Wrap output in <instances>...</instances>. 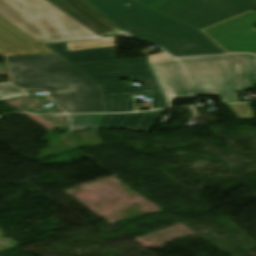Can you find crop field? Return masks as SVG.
Segmentation results:
<instances>
[{
  "label": "crop field",
  "mask_w": 256,
  "mask_h": 256,
  "mask_svg": "<svg viewBox=\"0 0 256 256\" xmlns=\"http://www.w3.org/2000/svg\"><path fill=\"white\" fill-rule=\"evenodd\" d=\"M37 46H39L46 54L54 53L53 51H51L49 48H47L44 45H37Z\"/></svg>",
  "instance_id": "crop-field-18"
},
{
  "label": "crop field",
  "mask_w": 256,
  "mask_h": 256,
  "mask_svg": "<svg viewBox=\"0 0 256 256\" xmlns=\"http://www.w3.org/2000/svg\"><path fill=\"white\" fill-rule=\"evenodd\" d=\"M70 51L74 50H83V49H92V48H102V47H111L115 46V38L108 40H95V41H84V42H73L67 43ZM71 46H80L77 49H71Z\"/></svg>",
  "instance_id": "crop-field-13"
},
{
  "label": "crop field",
  "mask_w": 256,
  "mask_h": 256,
  "mask_svg": "<svg viewBox=\"0 0 256 256\" xmlns=\"http://www.w3.org/2000/svg\"><path fill=\"white\" fill-rule=\"evenodd\" d=\"M88 1L127 35L161 45L175 57L226 53L198 29L134 0Z\"/></svg>",
  "instance_id": "crop-field-2"
},
{
  "label": "crop field",
  "mask_w": 256,
  "mask_h": 256,
  "mask_svg": "<svg viewBox=\"0 0 256 256\" xmlns=\"http://www.w3.org/2000/svg\"><path fill=\"white\" fill-rule=\"evenodd\" d=\"M146 85L141 89L142 94H162L156 81H139Z\"/></svg>",
  "instance_id": "crop-field-15"
},
{
  "label": "crop field",
  "mask_w": 256,
  "mask_h": 256,
  "mask_svg": "<svg viewBox=\"0 0 256 256\" xmlns=\"http://www.w3.org/2000/svg\"><path fill=\"white\" fill-rule=\"evenodd\" d=\"M0 101H3V100L0 99Z\"/></svg>",
  "instance_id": "crop-field-20"
},
{
  "label": "crop field",
  "mask_w": 256,
  "mask_h": 256,
  "mask_svg": "<svg viewBox=\"0 0 256 256\" xmlns=\"http://www.w3.org/2000/svg\"><path fill=\"white\" fill-rule=\"evenodd\" d=\"M39 42L0 15V57L45 54Z\"/></svg>",
  "instance_id": "crop-field-9"
},
{
  "label": "crop field",
  "mask_w": 256,
  "mask_h": 256,
  "mask_svg": "<svg viewBox=\"0 0 256 256\" xmlns=\"http://www.w3.org/2000/svg\"><path fill=\"white\" fill-rule=\"evenodd\" d=\"M163 111L106 115L100 128H124L148 133L151 132Z\"/></svg>",
  "instance_id": "crop-field-10"
},
{
  "label": "crop field",
  "mask_w": 256,
  "mask_h": 256,
  "mask_svg": "<svg viewBox=\"0 0 256 256\" xmlns=\"http://www.w3.org/2000/svg\"><path fill=\"white\" fill-rule=\"evenodd\" d=\"M7 60L13 85L49 90L52 100L66 113L104 112L100 86L59 55L17 56Z\"/></svg>",
  "instance_id": "crop-field-1"
},
{
  "label": "crop field",
  "mask_w": 256,
  "mask_h": 256,
  "mask_svg": "<svg viewBox=\"0 0 256 256\" xmlns=\"http://www.w3.org/2000/svg\"><path fill=\"white\" fill-rule=\"evenodd\" d=\"M0 14L42 43L96 37L44 0H0Z\"/></svg>",
  "instance_id": "crop-field-5"
},
{
  "label": "crop field",
  "mask_w": 256,
  "mask_h": 256,
  "mask_svg": "<svg viewBox=\"0 0 256 256\" xmlns=\"http://www.w3.org/2000/svg\"><path fill=\"white\" fill-rule=\"evenodd\" d=\"M256 12H247L204 31L228 53L256 54ZM208 36V37H209Z\"/></svg>",
  "instance_id": "crop-field-7"
},
{
  "label": "crop field",
  "mask_w": 256,
  "mask_h": 256,
  "mask_svg": "<svg viewBox=\"0 0 256 256\" xmlns=\"http://www.w3.org/2000/svg\"><path fill=\"white\" fill-rule=\"evenodd\" d=\"M243 87L250 89L251 83H256V56L240 55Z\"/></svg>",
  "instance_id": "crop-field-11"
},
{
  "label": "crop field",
  "mask_w": 256,
  "mask_h": 256,
  "mask_svg": "<svg viewBox=\"0 0 256 256\" xmlns=\"http://www.w3.org/2000/svg\"><path fill=\"white\" fill-rule=\"evenodd\" d=\"M154 109L169 107L163 95H152Z\"/></svg>",
  "instance_id": "crop-field-16"
},
{
  "label": "crop field",
  "mask_w": 256,
  "mask_h": 256,
  "mask_svg": "<svg viewBox=\"0 0 256 256\" xmlns=\"http://www.w3.org/2000/svg\"><path fill=\"white\" fill-rule=\"evenodd\" d=\"M48 46L102 86L106 112L136 111L140 90L118 79L156 80L146 58L118 61L115 47L66 52V43Z\"/></svg>",
  "instance_id": "crop-field-4"
},
{
  "label": "crop field",
  "mask_w": 256,
  "mask_h": 256,
  "mask_svg": "<svg viewBox=\"0 0 256 256\" xmlns=\"http://www.w3.org/2000/svg\"><path fill=\"white\" fill-rule=\"evenodd\" d=\"M153 68L171 104L173 99L197 95L220 96L221 103L239 102L238 55L171 59Z\"/></svg>",
  "instance_id": "crop-field-3"
},
{
  "label": "crop field",
  "mask_w": 256,
  "mask_h": 256,
  "mask_svg": "<svg viewBox=\"0 0 256 256\" xmlns=\"http://www.w3.org/2000/svg\"><path fill=\"white\" fill-rule=\"evenodd\" d=\"M150 59H151V63L153 64V63H157L167 59H171V57L167 55L165 52H163L157 55L150 56Z\"/></svg>",
  "instance_id": "crop-field-17"
},
{
  "label": "crop field",
  "mask_w": 256,
  "mask_h": 256,
  "mask_svg": "<svg viewBox=\"0 0 256 256\" xmlns=\"http://www.w3.org/2000/svg\"><path fill=\"white\" fill-rule=\"evenodd\" d=\"M32 97L28 93L23 90H19L13 86L9 82L0 84V98L5 101L16 99V98H28Z\"/></svg>",
  "instance_id": "crop-field-14"
},
{
  "label": "crop field",
  "mask_w": 256,
  "mask_h": 256,
  "mask_svg": "<svg viewBox=\"0 0 256 256\" xmlns=\"http://www.w3.org/2000/svg\"><path fill=\"white\" fill-rule=\"evenodd\" d=\"M103 115H72L66 116L69 120L70 131L86 130L98 127Z\"/></svg>",
  "instance_id": "crop-field-12"
},
{
  "label": "crop field",
  "mask_w": 256,
  "mask_h": 256,
  "mask_svg": "<svg viewBox=\"0 0 256 256\" xmlns=\"http://www.w3.org/2000/svg\"><path fill=\"white\" fill-rule=\"evenodd\" d=\"M252 11H256V9L252 10Z\"/></svg>",
  "instance_id": "crop-field-19"
},
{
  "label": "crop field",
  "mask_w": 256,
  "mask_h": 256,
  "mask_svg": "<svg viewBox=\"0 0 256 256\" xmlns=\"http://www.w3.org/2000/svg\"><path fill=\"white\" fill-rule=\"evenodd\" d=\"M45 1L98 37H103L120 30L87 0Z\"/></svg>",
  "instance_id": "crop-field-8"
},
{
  "label": "crop field",
  "mask_w": 256,
  "mask_h": 256,
  "mask_svg": "<svg viewBox=\"0 0 256 256\" xmlns=\"http://www.w3.org/2000/svg\"><path fill=\"white\" fill-rule=\"evenodd\" d=\"M200 30L256 8V0H139Z\"/></svg>",
  "instance_id": "crop-field-6"
}]
</instances>
